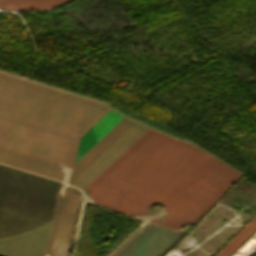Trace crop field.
I'll use <instances>...</instances> for the list:
<instances>
[{"instance_id":"crop-field-1","label":"crop field","mask_w":256,"mask_h":256,"mask_svg":"<svg viewBox=\"0 0 256 256\" xmlns=\"http://www.w3.org/2000/svg\"><path fill=\"white\" fill-rule=\"evenodd\" d=\"M109 109L0 73V153L58 171L56 162L73 166L80 137Z\"/></svg>"},{"instance_id":"crop-field-2","label":"crop field","mask_w":256,"mask_h":256,"mask_svg":"<svg viewBox=\"0 0 256 256\" xmlns=\"http://www.w3.org/2000/svg\"><path fill=\"white\" fill-rule=\"evenodd\" d=\"M60 184L0 164V239L52 222Z\"/></svg>"},{"instance_id":"crop-field-3","label":"crop field","mask_w":256,"mask_h":256,"mask_svg":"<svg viewBox=\"0 0 256 256\" xmlns=\"http://www.w3.org/2000/svg\"><path fill=\"white\" fill-rule=\"evenodd\" d=\"M242 174L220 161L162 221L163 226L180 229L207 211Z\"/></svg>"},{"instance_id":"crop-field-4","label":"crop field","mask_w":256,"mask_h":256,"mask_svg":"<svg viewBox=\"0 0 256 256\" xmlns=\"http://www.w3.org/2000/svg\"><path fill=\"white\" fill-rule=\"evenodd\" d=\"M64 192L59 191L57 193L58 197V205L56 208L48 244L44 253V256H51L53 242H54V236L57 226V221L62 205V198H63ZM79 195L71 194L65 192L64 198H63V205L62 210L60 213L56 236H55V242L53 247L52 256H68L71 243L69 241L71 231L74 225V221L76 218L75 210L77 206Z\"/></svg>"},{"instance_id":"crop-field-5","label":"crop field","mask_w":256,"mask_h":256,"mask_svg":"<svg viewBox=\"0 0 256 256\" xmlns=\"http://www.w3.org/2000/svg\"><path fill=\"white\" fill-rule=\"evenodd\" d=\"M70 0H0L3 10H47Z\"/></svg>"},{"instance_id":"crop-field-6","label":"crop field","mask_w":256,"mask_h":256,"mask_svg":"<svg viewBox=\"0 0 256 256\" xmlns=\"http://www.w3.org/2000/svg\"><path fill=\"white\" fill-rule=\"evenodd\" d=\"M256 230V216L220 251L217 256H230Z\"/></svg>"}]
</instances>
